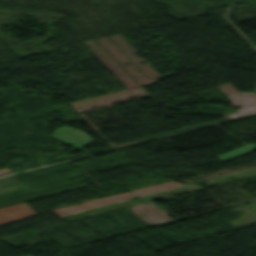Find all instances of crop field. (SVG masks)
I'll return each mask as SVG.
<instances>
[{"label":"crop field","mask_w":256,"mask_h":256,"mask_svg":"<svg viewBox=\"0 0 256 256\" xmlns=\"http://www.w3.org/2000/svg\"><path fill=\"white\" fill-rule=\"evenodd\" d=\"M7 172H10V170L9 169L0 170V174L7 173Z\"/></svg>","instance_id":"4"},{"label":"crop field","mask_w":256,"mask_h":256,"mask_svg":"<svg viewBox=\"0 0 256 256\" xmlns=\"http://www.w3.org/2000/svg\"><path fill=\"white\" fill-rule=\"evenodd\" d=\"M256 149V145L251 143L249 145L243 146L241 148L235 149L233 151L227 152L225 154H222L220 156H217L219 159H221L222 161L226 162L228 160H231L233 158H236L238 156H241L245 153H248L250 151H253Z\"/></svg>","instance_id":"3"},{"label":"crop field","mask_w":256,"mask_h":256,"mask_svg":"<svg viewBox=\"0 0 256 256\" xmlns=\"http://www.w3.org/2000/svg\"><path fill=\"white\" fill-rule=\"evenodd\" d=\"M52 137L72 146L77 149H80L92 142L91 139L87 134H85L81 130H77L74 128L66 127L60 131L50 134Z\"/></svg>","instance_id":"2"},{"label":"crop field","mask_w":256,"mask_h":256,"mask_svg":"<svg viewBox=\"0 0 256 256\" xmlns=\"http://www.w3.org/2000/svg\"><path fill=\"white\" fill-rule=\"evenodd\" d=\"M37 214L25 203L0 208V226L27 219Z\"/></svg>","instance_id":"1"}]
</instances>
